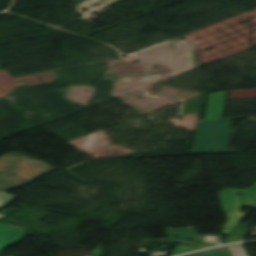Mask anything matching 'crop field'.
I'll list each match as a JSON object with an SVG mask.
<instances>
[{
    "label": "crop field",
    "instance_id": "obj_1",
    "mask_svg": "<svg viewBox=\"0 0 256 256\" xmlns=\"http://www.w3.org/2000/svg\"><path fill=\"white\" fill-rule=\"evenodd\" d=\"M49 165L11 153L0 157V192L22 185L51 169Z\"/></svg>",
    "mask_w": 256,
    "mask_h": 256
},
{
    "label": "crop field",
    "instance_id": "obj_2",
    "mask_svg": "<svg viewBox=\"0 0 256 256\" xmlns=\"http://www.w3.org/2000/svg\"><path fill=\"white\" fill-rule=\"evenodd\" d=\"M225 93L226 91L209 94L206 120L198 123L193 154L215 153V119L222 118Z\"/></svg>",
    "mask_w": 256,
    "mask_h": 256
},
{
    "label": "crop field",
    "instance_id": "obj_3",
    "mask_svg": "<svg viewBox=\"0 0 256 256\" xmlns=\"http://www.w3.org/2000/svg\"><path fill=\"white\" fill-rule=\"evenodd\" d=\"M238 194V189H223L220 191L223 207L229 217L221 232L222 235L229 234L246 215L241 213Z\"/></svg>",
    "mask_w": 256,
    "mask_h": 256
},
{
    "label": "crop field",
    "instance_id": "obj_4",
    "mask_svg": "<svg viewBox=\"0 0 256 256\" xmlns=\"http://www.w3.org/2000/svg\"><path fill=\"white\" fill-rule=\"evenodd\" d=\"M25 236L24 227L0 223V255L7 245L18 243Z\"/></svg>",
    "mask_w": 256,
    "mask_h": 256
},
{
    "label": "crop field",
    "instance_id": "obj_5",
    "mask_svg": "<svg viewBox=\"0 0 256 256\" xmlns=\"http://www.w3.org/2000/svg\"><path fill=\"white\" fill-rule=\"evenodd\" d=\"M231 119L216 120L217 124V153L229 152V135H232Z\"/></svg>",
    "mask_w": 256,
    "mask_h": 256
},
{
    "label": "crop field",
    "instance_id": "obj_6",
    "mask_svg": "<svg viewBox=\"0 0 256 256\" xmlns=\"http://www.w3.org/2000/svg\"><path fill=\"white\" fill-rule=\"evenodd\" d=\"M166 235L171 238V240L167 241V243L173 245L175 242L182 243L188 239H191L197 236V233L194 227L179 228V229L169 228L166 230ZM176 235L179 236L180 240L174 237Z\"/></svg>",
    "mask_w": 256,
    "mask_h": 256
},
{
    "label": "crop field",
    "instance_id": "obj_7",
    "mask_svg": "<svg viewBox=\"0 0 256 256\" xmlns=\"http://www.w3.org/2000/svg\"><path fill=\"white\" fill-rule=\"evenodd\" d=\"M241 201L243 207L256 208V183L246 190H242Z\"/></svg>",
    "mask_w": 256,
    "mask_h": 256
},
{
    "label": "crop field",
    "instance_id": "obj_8",
    "mask_svg": "<svg viewBox=\"0 0 256 256\" xmlns=\"http://www.w3.org/2000/svg\"><path fill=\"white\" fill-rule=\"evenodd\" d=\"M248 224H240L228 237L224 238L225 243L245 240L251 228Z\"/></svg>",
    "mask_w": 256,
    "mask_h": 256
},
{
    "label": "crop field",
    "instance_id": "obj_9",
    "mask_svg": "<svg viewBox=\"0 0 256 256\" xmlns=\"http://www.w3.org/2000/svg\"><path fill=\"white\" fill-rule=\"evenodd\" d=\"M188 256H230V254L228 253L226 247H223V248H218V249L197 253V254H192Z\"/></svg>",
    "mask_w": 256,
    "mask_h": 256
},
{
    "label": "crop field",
    "instance_id": "obj_10",
    "mask_svg": "<svg viewBox=\"0 0 256 256\" xmlns=\"http://www.w3.org/2000/svg\"><path fill=\"white\" fill-rule=\"evenodd\" d=\"M228 249L233 256H248L243 244L229 246Z\"/></svg>",
    "mask_w": 256,
    "mask_h": 256
},
{
    "label": "crop field",
    "instance_id": "obj_11",
    "mask_svg": "<svg viewBox=\"0 0 256 256\" xmlns=\"http://www.w3.org/2000/svg\"><path fill=\"white\" fill-rule=\"evenodd\" d=\"M15 195H12L10 193L4 192L0 194V209L5 207L13 198ZM6 216L0 214V219L4 218Z\"/></svg>",
    "mask_w": 256,
    "mask_h": 256
},
{
    "label": "crop field",
    "instance_id": "obj_12",
    "mask_svg": "<svg viewBox=\"0 0 256 256\" xmlns=\"http://www.w3.org/2000/svg\"><path fill=\"white\" fill-rule=\"evenodd\" d=\"M193 249H197V248H191V247L177 245L173 254H177V253H181V252H185V251H189V250H193Z\"/></svg>",
    "mask_w": 256,
    "mask_h": 256
},
{
    "label": "crop field",
    "instance_id": "obj_13",
    "mask_svg": "<svg viewBox=\"0 0 256 256\" xmlns=\"http://www.w3.org/2000/svg\"><path fill=\"white\" fill-rule=\"evenodd\" d=\"M94 256H103V247L102 246H98V250L93 252Z\"/></svg>",
    "mask_w": 256,
    "mask_h": 256
},
{
    "label": "crop field",
    "instance_id": "obj_14",
    "mask_svg": "<svg viewBox=\"0 0 256 256\" xmlns=\"http://www.w3.org/2000/svg\"><path fill=\"white\" fill-rule=\"evenodd\" d=\"M166 247H168L167 245H163V246H161V247H159V248H157V249H155V250H153V251H151L152 253H155V252H157V251H159V250H161V249H163V248H166Z\"/></svg>",
    "mask_w": 256,
    "mask_h": 256
},
{
    "label": "crop field",
    "instance_id": "obj_15",
    "mask_svg": "<svg viewBox=\"0 0 256 256\" xmlns=\"http://www.w3.org/2000/svg\"><path fill=\"white\" fill-rule=\"evenodd\" d=\"M0 68H1V66H0Z\"/></svg>",
    "mask_w": 256,
    "mask_h": 256
}]
</instances>
